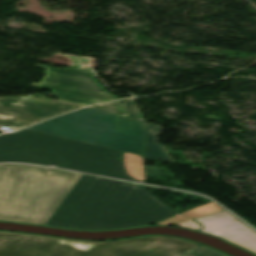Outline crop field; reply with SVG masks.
Instances as JSON below:
<instances>
[{"label":"crop field","mask_w":256,"mask_h":256,"mask_svg":"<svg viewBox=\"0 0 256 256\" xmlns=\"http://www.w3.org/2000/svg\"><path fill=\"white\" fill-rule=\"evenodd\" d=\"M174 215L177 213L145 189L82 175L46 225L108 230L143 226Z\"/></svg>","instance_id":"1"},{"label":"crop field","mask_w":256,"mask_h":256,"mask_svg":"<svg viewBox=\"0 0 256 256\" xmlns=\"http://www.w3.org/2000/svg\"><path fill=\"white\" fill-rule=\"evenodd\" d=\"M124 152L30 130L0 136V162L34 163L136 181L123 165Z\"/></svg>","instance_id":"2"},{"label":"crop field","mask_w":256,"mask_h":256,"mask_svg":"<svg viewBox=\"0 0 256 256\" xmlns=\"http://www.w3.org/2000/svg\"><path fill=\"white\" fill-rule=\"evenodd\" d=\"M80 174L0 164V220L45 225Z\"/></svg>","instance_id":"3"},{"label":"crop field","mask_w":256,"mask_h":256,"mask_svg":"<svg viewBox=\"0 0 256 256\" xmlns=\"http://www.w3.org/2000/svg\"><path fill=\"white\" fill-rule=\"evenodd\" d=\"M199 246L164 236L84 242L0 231V256H182Z\"/></svg>","instance_id":"4"},{"label":"crop field","mask_w":256,"mask_h":256,"mask_svg":"<svg viewBox=\"0 0 256 256\" xmlns=\"http://www.w3.org/2000/svg\"><path fill=\"white\" fill-rule=\"evenodd\" d=\"M145 125L86 107L27 129L142 155Z\"/></svg>","instance_id":"5"},{"label":"crop field","mask_w":256,"mask_h":256,"mask_svg":"<svg viewBox=\"0 0 256 256\" xmlns=\"http://www.w3.org/2000/svg\"><path fill=\"white\" fill-rule=\"evenodd\" d=\"M35 67L46 69V77L40 84L32 83L31 86L51 90L62 99L83 105L116 99L103 88L91 71L76 68L57 69L40 64Z\"/></svg>","instance_id":"6"},{"label":"crop field","mask_w":256,"mask_h":256,"mask_svg":"<svg viewBox=\"0 0 256 256\" xmlns=\"http://www.w3.org/2000/svg\"><path fill=\"white\" fill-rule=\"evenodd\" d=\"M80 106L61 101L30 103L12 97L0 98V125L18 130Z\"/></svg>","instance_id":"7"},{"label":"crop field","mask_w":256,"mask_h":256,"mask_svg":"<svg viewBox=\"0 0 256 256\" xmlns=\"http://www.w3.org/2000/svg\"><path fill=\"white\" fill-rule=\"evenodd\" d=\"M194 220L204 226V229L201 230V232L218 236L235 245L256 253V232L252 231L243 223L237 221L235 217L225 210L202 216ZM175 226H181L192 230L201 228L198 223L192 220Z\"/></svg>","instance_id":"8"},{"label":"crop field","mask_w":256,"mask_h":256,"mask_svg":"<svg viewBox=\"0 0 256 256\" xmlns=\"http://www.w3.org/2000/svg\"><path fill=\"white\" fill-rule=\"evenodd\" d=\"M161 127L148 123L145 156L173 162L163 145L159 144Z\"/></svg>","instance_id":"9"},{"label":"crop field","mask_w":256,"mask_h":256,"mask_svg":"<svg viewBox=\"0 0 256 256\" xmlns=\"http://www.w3.org/2000/svg\"><path fill=\"white\" fill-rule=\"evenodd\" d=\"M140 155L131 154L125 152L124 155V164L127 170V173L130 177L141 181L144 179L143 176V162Z\"/></svg>","instance_id":"10"},{"label":"crop field","mask_w":256,"mask_h":256,"mask_svg":"<svg viewBox=\"0 0 256 256\" xmlns=\"http://www.w3.org/2000/svg\"><path fill=\"white\" fill-rule=\"evenodd\" d=\"M221 210H223L221 207H219L217 204L212 202L210 204L197 207L191 211L184 212L181 215L189 217L191 219H194L199 216L214 213V212L221 211Z\"/></svg>","instance_id":"11"},{"label":"crop field","mask_w":256,"mask_h":256,"mask_svg":"<svg viewBox=\"0 0 256 256\" xmlns=\"http://www.w3.org/2000/svg\"><path fill=\"white\" fill-rule=\"evenodd\" d=\"M122 105L124 106L126 112L128 113L129 117L137 118L140 120H144L134 99L129 100H121Z\"/></svg>","instance_id":"12"},{"label":"crop field","mask_w":256,"mask_h":256,"mask_svg":"<svg viewBox=\"0 0 256 256\" xmlns=\"http://www.w3.org/2000/svg\"><path fill=\"white\" fill-rule=\"evenodd\" d=\"M72 60V65L68 67H76V68H83L92 70L91 67V58L88 57H80V56H73V55H64Z\"/></svg>","instance_id":"13"},{"label":"crop field","mask_w":256,"mask_h":256,"mask_svg":"<svg viewBox=\"0 0 256 256\" xmlns=\"http://www.w3.org/2000/svg\"><path fill=\"white\" fill-rule=\"evenodd\" d=\"M184 256H227V255L217 252L215 250H212L208 247L201 246V247L185 254Z\"/></svg>","instance_id":"14"},{"label":"crop field","mask_w":256,"mask_h":256,"mask_svg":"<svg viewBox=\"0 0 256 256\" xmlns=\"http://www.w3.org/2000/svg\"><path fill=\"white\" fill-rule=\"evenodd\" d=\"M91 108L100 109L108 112H112L118 115L125 116V113L123 112L121 106L119 105L118 101L110 104H101V105H95L90 106Z\"/></svg>","instance_id":"15"},{"label":"crop field","mask_w":256,"mask_h":256,"mask_svg":"<svg viewBox=\"0 0 256 256\" xmlns=\"http://www.w3.org/2000/svg\"><path fill=\"white\" fill-rule=\"evenodd\" d=\"M189 220L185 217H182L180 215L174 216L172 218L166 219L165 221L155 224V225H174L183 221Z\"/></svg>","instance_id":"16"}]
</instances>
